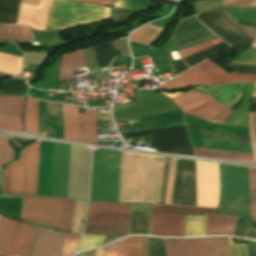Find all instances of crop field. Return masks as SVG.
Here are the masks:
<instances>
[{"label":"crop field","mask_w":256,"mask_h":256,"mask_svg":"<svg viewBox=\"0 0 256 256\" xmlns=\"http://www.w3.org/2000/svg\"><path fill=\"white\" fill-rule=\"evenodd\" d=\"M165 157L122 152L118 202L159 203Z\"/></svg>","instance_id":"1"},{"label":"crop field","mask_w":256,"mask_h":256,"mask_svg":"<svg viewBox=\"0 0 256 256\" xmlns=\"http://www.w3.org/2000/svg\"><path fill=\"white\" fill-rule=\"evenodd\" d=\"M220 198L218 213L248 218L250 195L247 168L219 164Z\"/></svg>","instance_id":"2"},{"label":"crop field","mask_w":256,"mask_h":256,"mask_svg":"<svg viewBox=\"0 0 256 256\" xmlns=\"http://www.w3.org/2000/svg\"><path fill=\"white\" fill-rule=\"evenodd\" d=\"M121 152L93 151L90 200L117 202Z\"/></svg>","instance_id":"3"},{"label":"crop field","mask_w":256,"mask_h":256,"mask_svg":"<svg viewBox=\"0 0 256 256\" xmlns=\"http://www.w3.org/2000/svg\"><path fill=\"white\" fill-rule=\"evenodd\" d=\"M111 19L106 6L51 0L46 30H62L78 24H90Z\"/></svg>","instance_id":"4"},{"label":"crop field","mask_w":256,"mask_h":256,"mask_svg":"<svg viewBox=\"0 0 256 256\" xmlns=\"http://www.w3.org/2000/svg\"><path fill=\"white\" fill-rule=\"evenodd\" d=\"M130 204L90 202L84 233L128 234Z\"/></svg>","instance_id":"5"},{"label":"crop field","mask_w":256,"mask_h":256,"mask_svg":"<svg viewBox=\"0 0 256 256\" xmlns=\"http://www.w3.org/2000/svg\"><path fill=\"white\" fill-rule=\"evenodd\" d=\"M39 142L5 170L4 194H36Z\"/></svg>","instance_id":"6"},{"label":"crop field","mask_w":256,"mask_h":256,"mask_svg":"<svg viewBox=\"0 0 256 256\" xmlns=\"http://www.w3.org/2000/svg\"><path fill=\"white\" fill-rule=\"evenodd\" d=\"M234 82H256V75L236 74L235 72L229 75L211 61L207 60L170 80L160 86V88L163 89L194 84L219 85Z\"/></svg>","instance_id":"7"},{"label":"crop field","mask_w":256,"mask_h":256,"mask_svg":"<svg viewBox=\"0 0 256 256\" xmlns=\"http://www.w3.org/2000/svg\"><path fill=\"white\" fill-rule=\"evenodd\" d=\"M166 98L158 93L139 91L137 92V102L113 108L114 118H129L177 110L178 108Z\"/></svg>","instance_id":"8"},{"label":"crop field","mask_w":256,"mask_h":256,"mask_svg":"<svg viewBox=\"0 0 256 256\" xmlns=\"http://www.w3.org/2000/svg\"><path fill=\"white\" fill-rule=\"evenodd\" d=\"M61 199L23 196L20 218L57 228Z\"/></svg>","instance_id":"9"},{"label":"crop field","mask_w":256,"mask_h":256,"mask_svg":"<svg viewBox=\"0 0 256 256\" xmlns=\"http://www.w3.org/2000/svg\"><path fill=\"white\" fill-rule=\"evenodd\" d=\"M198 206L217 207L219 196L218 164L196 161Z\"/></svg>","instance_id":"10"},{"label":"crop field","mask_w":256,"mask_h":256,"mask_svg":"<svg viewBox=\"0 0 256 256\" xmlns=\"http://www.w3.org/2000/svg\"><path fill=\"white\" fill-rule=\"evenodd\" d=\"M70 145L54 143L50 196L67 197Z\"/></svg>","instance_id":"11"},{"label":"crop field","mask_w":256,"mask_h":256,"mask_svg":"<svg viewBox=\"0 0 256 256\" xmlns=\"http://www.w3.org/2000/svg\"><path fill=\"white\" fill-rule=\"evenodd\" d=\"M181 108L187 114L199 116L206 120L219 115L225 110L219 117L211 120L218 123L225 121L233 112L207 94Z\"/></svg>","instance_id":"12"},{"label":"crop field","mask_w":256,"mask_h":256,"mask_svg":"<svg viewBox=\"0 0 256 256\" xmlns=\"http://www.w3.org/2000/svg\"><path fill=\"white\" fill-rule=\"evenodd\" d=\"M25 97L0 96V129L23 132L21 116Z\"/></svg>","instance_id":"13"},{"label":"crop field","mask_w":256,"mask_h":256,"mask_svg":"<svg viewBox=\"0 0 256 256\" xmlns=\"http://www.w3.org/2000/svg\"><path fill=\"white\" fill-rule=\"evenodd\" d=\"M66 235L41 228L31 256H59Z\"/></svg>","instance_id":"14"},{"label":"crop field","mask_w":256,"mask_h":256,"mask_svg":"<svg viewBox=\"0 0 256 256\" xmlns=\"http://www.w3.org/2000/svg\"><path fill=\"white\" fill-rule=\"evenodd\" d=\"M186 216L151 215V235L185 236Z\"/></svg>","instance_id":"15"},{"label":"crop field","mask_w":256,"mask_h":256,"mask_svg":"<svg viewBox=\"0 0 256 256\" xmlns=\"http://www.w3.org/2000/svg\"><path fill=\"white\" fill-rule=\"evenodd\" d=\"M167 256H207L204 238L165 239Z\"/></svg>","instance_id":"16"},{"label":"crop field","mask_w":256,"mask_h":256,"mask_svg":"<svg viewBox=\"0 0 256 256\" xmlns=\"http://www.w3.org/2000/svg\"><path fill=\"white\" fill-rule=\"evenodd\" d=\"M49 1L41 0L38 7L21 4L18 24H25L37 30H45Z\"/></svg>","instance_id":"17"},{"label":"crop field","mask_w":256,"mask_h":256,"mask_svg":"<svg viewBox=\"0 0 256 256\" xmlns=\"http://www.w3.org/2000/svg\"><path fill=\"white\" fill-rule=\"evenodd\" d=\"M31 228L29 225L15 221L4 254L22 256Z\"/></svg>","instance_id":"18"},{"label":"crop field","mask_w":256,"mask_h":256,"mask_svg":"<svg viewBox=\"0 0 256 256\" xmlns=\"http://www.w3.org/2000/svg\"><path fill=\"white\" fill-rule=\"evenodd\" d=\"M80 142L97 144L96 108L86 109V114H79Z\"/></svg>","instance_id":"19"},{"label":"crop field","mask_w":256,"mask_h":256,"mask_svg":"<svg viewBox=\"0 0 256 256\" xmlns=\"http://www.w3.org/2000/svg\"><path fill=\"white\" fill-rule=\"evenodd\" d=\"M216 208H202L190 206L175 205H151V214L161 215H205V213H214Z\"/></svg>","instance_id":"20"},{"label":"crop field","mask_w":256,"mask_h":256,"mask_svg":"<svg viewBox=\"0 0 256 256\" xmlns=\"http://www.w3.org/2000/svg\"><path fill=\"white\" fill-rule=\"evenodd\" d=\"M64 139L79 142L78 107L63 104Z\"/></svg>","instance_id":"21"},{"label":"crop field","mask_w":256,"mask_h":256,"mask_svg":"<svg viewBox=\"0 0 256 256\" xmlns=\"http://www.w3.org/2000/svg\"><path fill=\"white\" fill-rule=\"evenodd\" d=\"M84 67L86 66L81 49L73 53L62 55V61L59 70V81L72 78L73 76L71 75L70 70Z\"/></svg>","instance_id":"22"},{"label":"crop field","mask_w":256,"mask_h":256,"mask_svg":"<svg viewBox=\"0 0 256 256\" xmlns=\"http://www.w3.org/2000/svg\"><path fill=\"white\" fill-rule=\"evenodd\" d=\"M204 30L207 28L200 23L196 16L185 18L175 30L173 39L176 41Z\"/></svg>","instance_id":"23"},{"label":"crop field","mask_w":256,"mask_h":256,"mask_svg":"<svg viewBox=\"0 0 256 256\" xmlns=\"http://www.w3.org/2000/svg\"><path fill=\"white\" fill-rule=\"evenodd\" d=\"M193 150H194V154L199 155V156H207V157H214V158L254 163L252 154L217 151V150H207V149H197V148H193Z\"/></svg>","instance_id":"24"},{"label":"crop field","mask_w":256,"mask_h":256,"mask_svg":"<svg viewBox=\"0 0 256 256\" xmlns=\"http://www.w3.org/2000/svg\"><path fill=\"white\" fill-rule=\"evenodd\" d=\"M126 256H137V237L125 238ZM138 256H149V238L138 237Z\"/></svg>","instance_id":"25"},{"label":"crop field","mask_w":256,"mask_h":256,"mask_svg":"<svg viewBox=\"0 0 256 256\" xmlns=\"http://www.w3.org/2000/svg\"><path fill=\"white\" fill-rule=\"evenodd\" d=\"M24 131L38 133L37 100L35 99H27L24 118Z\"/></svg>","instance_id":"26"},{"label":"crop field","mask_w":256,"mask_h":256,"mask_svg":"<svg viewBox=\"0 0 256 256\" xmlns=\"http://www.w3.org/2000/svg\"><path fill=\"white\" fill-rule=\"evenodd\" d=\"M208 256H230L227 238H205Z\"/></svg>","instance_id":"27"},{"label":"crop field","mask_w":256,"mask_h":256,"mask_svg":"<svg viewBox=\"0 0 256 256\" xmlns=\"http://www.w3.org/2000/svg\"><path fill=\"white\" fill-rule=\"evenodd\" d=\"M129 234H149L148 214L130 212Z\"/></svg>","instance_id":"28"},{"label":"crop field","mask_w":256,"mask_h":256,"mask_svg":"<svg viewBox=\"0 0 256 256\" xmlns=\"http://www.w3.org/2000/svg\"><path fill=\"white\" fill-rule=\"evenodd\" d=\"M22 58L0 53V72L19 76Z\"/></svg>","instance_id":"29"},{"label":"crop field","mask_w":256,"mask_h":256,"mask_svg":"<svg viewBox=\"0 0 256 256\" xmlns=\"http://www.w3.org/2000/svg\"><path fill=\"white\" fill-rule=\"evenodd\" d=\"M75 200L63 199L61 204L58 229L69 230L73 217Z\"/></svg>","instance_id":"30"},{"label":"crop field","mask_w":256,"mask_h":256,"mask_svg":"<svg viewBox=\"0 0 256 256\" xmlns=\"http://www.w3.org/2000/svg\"><path fill=\"white\" fill-rule=\"evenodd\" d=\"M0 38L28 41L31 34L22 26L0 25Z\"/></svg>","instance_id":"31"},{"label":"crop field","mask_w":256,"mask_h":256,"mask_svg":"<svg viewBox=\"0 0 256 256\" xmlns=\"http://www.w3.org/2000/svg\"><path fill=\"white\" fill-rule=\"evenodd\" d=\"M226 216L218 214H206L205 236L223 235Z\"/></svg>","instance_id":"32"},{"label":"crop field","mask_w":256,"mask_h":256,"mask_svg":"<svg viewBox=\"0 0 256 256\" xmlns=\"http://www.w3.org/2000/svg\"><path fill=\"white\" fill-rule=\"evenodd\" d=\"M162 30L163 28L148 25L132 33L130 40L150 45Z\"/></svg>","instance_id":"33"},{"label":"crop field","mask_w":256,"mask_h":256,"mask_svg":"<svg viewBox=\"0 0 256 256\" xmlns=\"http://www.w3.org/2000/svg\"><path fill=\"white\" fill-rule=\"evenodd\" d=\"M214 38H217V37L215 35H213L209 30H207L202 33H199V34L184 38L182 40L176 41L175 43L177 45L178 50L180 51V50H183L188 47L206 42V41L214 39Z\"/></svg>","instance_id":"34"},{"label":"crop field","mask_w":256,"mask_h":256,"mask_svg":"<svg viewBox=\"0 0 256 256\" xmlns=\"http://www.w3.org/2000/svg\"><path fill=\"white\" fill-rule=\"evenodd\" d=\"M205 216H187L186 236L204 235Z\"/></svg>","instance_id":"35"},{"label":"crop field","mask_w":256,"mask_h":256,"mask_svg":"<svg viewBox=\"0 0 256 256\" xmlns=\"http://www.w3.org/2000/svg\"><path fill=\"white\" fill-rule=\"evenodd\" d=\"M26 86L20 80H10L3 83L0 94L25 95Z\"/></svg>","instance_id":"36"},{"label":"crop field","mask_w":256,"mask_h":256,"mask_svg":"<svg viewBox=\"0 0 256 256\" xmlns=\"http://www.w3.org/2000/svg\"><path fill=\"white\" fill-rule=\"evenodd\" d=\"M13 222L5 217H0V254L4 253Z\"/></svg>","instance_id":"37"},{"label":"crop field","mask_w":256,"mask_h":256,"mask_svg":"<svg viewBox=\"0 0 256 256\" xmlns=\"http://www.w3.org/2000/svg\"><path fill=\"white\" fill-rule=\"evenodd\" d=\"M9 137L0 136V172L1 165L12 160L15 155L11 146L8 144Z\"/></svg>","instance_id":"38"},{"label":"crop field","mask_w":256,"mask_h":256,"mask_svg":"<svg viewBox=\"0 0 256 256\" xmlns=\"http://www.w3.org/2000/svg\"><path fill=\"white\" fill-rule=\"evenodd\" d=\"M248 174L251 195L250 215H253V220L256 221V169L248 168Z\"/></svg>","instance_id":"39"},{"label":"crop field","mask_w":256,"mask_h":256,"mask_svg":"<svg viewBox=\"0 0 256 256\" xmlns=\"http://www.w3.org/2000/svg\"><path fill=\"white\" fill-rule=\"evenodd\" d=\"M79 237V234H68L60 256H69L73 254L75 252Z\"/></svg>","instance_id":"40"},{"label":"crop field","mask_w":256,"mask_h":256,"mask_svg":"<svg viewBox=\"0 0 256 256\" xmlns=\"http://www.w3.org/2000/svg\"><path fill=\"white\" fill-rule=\"evenodd\" d=\"M150 256H166L164 238L150 237Z\"/></svg>","instance_id":"41"},{"label":"crop field","mask_w":256,"mask_h":256,"mask_svg":"<svg viewBox=\"0 0 256 256\" xmlns=\"http://www.w3.org/2000/svg\"><path fill=\"white\" fill-rule=\"evenodd\" d=\"M175 164H176V159L171 158L164 203H171L172 185H173V179H174V173H175Z\"/></svg>","instance_id":"42"},{"label":"crop field","mask_w":256,"mask_h":256,"mask_svg":"<svg viewBox=\"0 0 256 256\" xmlns=\"http://www.w3.org/2000/svg\"><path fill=\"white\" fill-rule=\"evenodd\" d=\"M104 256H125L124 238L105 247Z\"/></svg>","instance_id":"43"},{"label":"crop field","mask_w":256,"mask_h":256,"mask_svg":"<svg viewBox=\"0 0 256 256\" xmlns=\"http://www.w3.org/2000/svg\"><path fill=\"white\" fill-rule=\"evenodd\" d=\"M104 237L105 236H87V235H84L78 251H81L83 249L94 248V247L100 246L103 242Z\"/></svg>","instance_id":"44"},{"label":"crop field","mask_w":256,"mask_h":256,"mask_svg":"<svg viewBox=\"0 0 256 256\" xmlns=\"http://www.w3.org/2000/svg\"><path fill=\"white\" fill-rule=\"evenodd\" d=\"M204 94L205 93H202L200 91L189 90L188 92H186L172 100H174L181 107Z\"/></svg>","instance_id":"45"},{"label":"crop field","mask_w":256,"mask_h":256,"mask_svg":"<svg viewBox=\"0 0 256 256\" xmlns=\"http://www.w3.org/2000/svg\"><path fill=\"white\" fill-rule=\"evenodd\" d=\"M221 42H223V41L221 39L217 38V39L211 40L209 42H206V43L191 47L189 49L180 51L179 53H180L181 57L183 58L185 56H188L190 54H193V53L198 52L200 50L206 49L208 47H211V46L216 45V44L221 43Z\"/></svg>","instance_id":"46"},{"label":"crop field","mask_w":256,"mask_h":256,"mask_svg":"<svg viewBox=\"0 0 256 256\" xmlns=\"http://www.w3.org/2000/svg\"><path fill=\"white\" fill-rule=\"evenodd\" d=\"M194 5L197 11L200 13L207 10H211L215 7L223 6V3L221 2V0H211L205 2H195Z\"/></svg>","instance_id":"47"},{"label":"crop field","mask_w":256,"mask_h":256,"mask_svg":"<svg viewBox=\"0 0 256 256\" xmlns=\"http://www.w3.org/2000/svg\"><path fill=\"white\" fill-rule=\"evenodd\" d=\"M231 256H248L247 248L244 244H236L232 242V238H228Z\"/></svg>","instance_id":"48"},{"label":"crop field","mask_w":256,"mask_h":256,"mask_svg":"<svg viewBox=\"0 0 256 256\" xmlns=\"http://www.w3.org/2000/svg\"><path fill=\"white\" fill-rule=\"evenodd\" d=\"M151 50H152V52H153V54H154V56H155V58H156V60H157V62H158V64H159V66H162V65H165V64H167L168 62H167V60H166V58H165V56H164V54H163V51H162V49L161 48H158V49H153V48H151ZM150 50V51H151ZM151 52V53H152ZM152 54V55H153ZM153 56V57H154ZM154 58V59H155ZM155 60V61H156ZM156 62V63H157ZM157 64V65H158ZM169 64H167V65H165V66H168ZM158 66V67H159ZM165 66H163V67H165ZM169 67V66H168ZM162 68V67H161ZM165 68H167V67H165ZM165 68H162V69H165ZM171 67H169V68H167V69H170ZM159 69V68H158ZM162 69H159L158 71H160V70H162ZM167 69H165V70H167ZM165 70H162V71H165ZM170 70H172V69H170ZM170 70H168V71H170ZM162 71H160V72H162ZM168 71H166V72H168ZM159 73V72H158ZM163 73H165V72H163ZM163 73H159V75H161V74H163Z\"/></svg>","instance_id":"49"},{"label":"crop field","mask_w":256,"mask_h":256,"mask_svg":"<svg viewBox=\"0 0 256 256\" xmlns=\"http://www.w3.org/2000/svg\"><path fill=\"white\" fill-rule=\"evenodd\" d=\"M39 229L40 228H35V227L32 228V231H31V234H30V237H29V240H28V243H27V246H26L23 256H30L31 251L34 246V243H35V240H36V237L38 235Z\"/></svg>","instance_id":"50"},{"label":"crop field","mask_w":256,"mask_h":256,"mask_svg":"<svg viewBox=\"0 0 256 256\" xmlns=\"http://www.w3.org/2000/svg\"><path fill=\"white\" fill-rule=\"evenodd\" d=\"M226 6L254 7L255 0H223Z\"/></svg>","instance_id":"51"},{"label":"crop field","mask_w":256,"mask_h":256,"mask_svg":"<svg viewBox=\"0 0 256 256\" xmlns=\"http://www.w3.org/2000/svg\"><path fill=\"white\" fill-rule=\"evenodd\" d=\"M236 217L227 216L226 223H225V230L224 235H232L234 234V227H235Z\"/></svg>","instance_id":"52"},{"label":"crop field","mask_w":256,"mask_h":256,"mask_svg":"<svg viewBox=\"0 0 256 256\" xmlns=\"http://www.w3.org/2000/svg\"><path fill=\"white\" fill-rule=\"evenodd\" d=\"M247 220L238 218L234 236L243 237Z\"/></svg>","instance_id":"53"},{"label":"crop field","mask_w":256,"mask_h":256,"mask_svg":"<svg viewBox=\"0 0 256 256\" xmlns=\"http://www.w3.org/2000/svg\"><path fill=\"white\" fill-rule=\"evenodd\" d=\"M136 0H117L113 7L125 8L131 10Z\"/></svg>","instance_id":"54"},{"label":"crop field","mask_w":256,"mask_h":256,"mask_svg":"<svg viewBox=\"0 0 256 256\" xmlns=\"http://www.w3.org/2000/svg\"><path fill=\"white\" fill-rule=\"evenodd\" d=\"M245 238L256 239V223L249 221L248 229L245 233Z\"/></svg>","instance_id":"55"},{"label":"crop field","mask_w":256,"mask_h":256,"mask_svg":"<svg viewBox=\"0 0 256 256\" xmlns=\"http://www.w3.org/2000/svg\"><path fill=\"white\" fill-rule=\"evenodd\" d=\"M113 9H114L117 22L125 19L124 9H119V8H113Z\"/></svg>","instance_id":"56"},{"label":"crop field","mask_w":256,"mask_h":256,"mask_svg":"<svg viewBox=\"0 0 256 256\" xmlns=\"http://www.w3.org/2000/svg\"><path fill=\"white\" fill-rule=\"evenodd\" d=\"M77 1H84V2H91V3L109 5V4H111L114 0H77Z\"/></svg>","instance_id":"57"},{"label":"crop field","mask_w":256,"mask_h":256,"mask_svg":"<svg viewBox=\"0 0 256 256\" xmlns=\"http://www.w3.org/2000/svg\"><path fill=\"white\" fill-rule=\"evenodd\" d=\"M40 0H22L21 3L37 6Z\"/></svg>","instance_id":"58"},{"label":"crop field","mask_w":256,"mask_h":256,"mask_svg":"<svg viewBox=\"0 0 256 256\" xmlns=\"http://www.w3.org/2000/svg\"><path fill=\"white\" fill-rule=\"evenodd\" d=\"M251 111H256V99H251Z\"/></svg>","instance_id":"59"},{"label":"crop field","mask_w":256,"mask_h":256,"mask_svg":"<svg viewBox=\"0 0 256 256\" xmlns=\"http://www.w3.org/2000/svg\"><path fill=\"white\" fill-rule=\"evenodd\" d=\"M251 98H256V84L254 85L252 94H251Z\"/></svg>","instance_id":"60"},{"label":"crop field","mask_w":256,"mask_h":256,"mask_svg":"<svg viewBox=\"0 0 256 256\" xmlns=\"http://www.w3.org/2000/svg\"><path fill=\"white\" fill-rule=\"evenodd\" d=\"M84 256H95L94 251L84 253Z\"/></svg>","instance_id":"61"},{"label":"crop field","mask_w":256,"mask_h":256,"mask_svg":"<svg viewBox=\"0 0 256 256\" xmlns=\"http://www.w3.org/2000/svg\"><path fill=\"white\" fill-rule=\"evenodd\" d=\"M5 77H9V75L0 73V79H1V78H5Z\"/></svg>","instance_id":"62"},{"label":"crop field","mask_w":256,"mask_h":256,"mask_svg":"<svg viewBox=\"0 0 256 256\" xmlns=\"http://www.w3.org/2000/svg\"><path fill=\"white\" fill-rule=\"evenodd\" d=\"M252 47H256V38H255V40H254V42L252 44Z\"/></svg>","instance_id":"63"},{"label":"crop field","mask_w":256,"mask_h":256,"mask_svg":"<svg viewBox=\"0 0 256 256\" xmlns=\"http://www.w3.org/2000/svg\"><path fill=\"white\" fill-rule=\"evenodd\" d=\"M255 7H256V2H255Z\"/></svg>","instance_id":"64"}]
</instances>
